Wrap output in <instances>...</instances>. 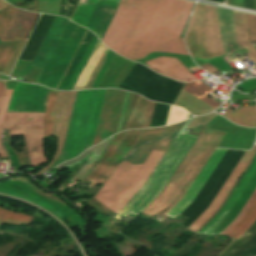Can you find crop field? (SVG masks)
I'll use <instances>...</instances> for the list:
<instances>
[{
  "label": "crop field",
  "mask_w": 256,
  "mask_h": 256,
  "mask_svg": "<svg viewBox=\"0 0 256 256\" xmlns=\"http://www.w3.org/2000/svg\"><path fill=\"white\" fill-rule=\"evenodd\" d=\"M193 4L182 0H121L102 41L138 63L160 52L188 54L179 36Z\"/></svg>",
  "instance_id": "1"
},
{
  "label": "crop field",
  "mask_w": 256,
  "mask_h": 256,
  "mask_svg": "<svg viewBox=\"0 0 256 256\" xmlns=\"http://www.w3.org/2000/svg\"><path fill=\"white\" fill-rule=\"evenodd\" d=\"M185 122L144 129L132 150L166 151ZM148 151H130L91 201L118 214L144 184L164 154Z\"/></svg>",
  "instance_id": "2"
},
{
  "label": "crop field",
  "mask_w": 256,
  "mask_h": 256,
  "mask_svg": "<svg viewBox=\"0 0 256 256\" xmlns=\"http://www.w3.org/2000/svg\"><path fill=\"white\" fill-rule=\"evenodd\" d=\"M225 135V132L206 128L165 191L143 214L153 217L172 205L164 213L167 214L183 198ZM226 152L227 150L225 149H216L184 198L167 214V216L174 218L177 214L180 215L193 202Z\"/></svg>",
  "instance_id": "3"
},
{
  "label": "crop field",
  "mask_w": 256,
  "mask_h": 256,
  "mask_svg": "<svg viewBox=\"0 0 256 256\" xmlns=\"http://www.w3.org/2000/svg\"><path fill=\"white\" fill-rule=\"evenodd\" d=\"M105 91H78L61 163L92 146Z\"/></svg>",
  "instance_id": "4"
},
{
  "label": "crop field",
  "mask_w": 256,
  "mask_h": 256,
  "mask_svg": "<svg viewBox=\"0 0 256 256\" xmlns=\"http://www.w3.org/2000/svg\"><path fill=\"white\" fill-rule=\"evenodd\" d=\"M197 138L189 134L174 139L151 176L116 218L121 220L129 213L137 215L146 208L162 191Z\"/></svg>",
  "instance_id": "5"
},
{
  "label": "crop field",
  "mask_w": 256,
  "mask_h": 256,
  "mask_svg": "<svg viewBox=\"0 0 256 256\" xmlns=\"http://www.w3.org/2000/svg\"><path fill=\"white\" fill-rule=\"evenodd\" d=\"M185 41L191 56L216 58L225 54L216 7L197 5Z\"/></svg>",
  "instance_id": "6"
},
{
  "label": "crop field",
  "mask_w": 256,
  "mask_h": 256,
  "mask_svg": "<svg viewBox=\"0 0 256 256\" xmlns=\"http://www.w3.org/2000/svg\"><path fill=\"white\" fill-rule=\"evenodd\" d=\"M256 187V157L250 164L249 168L236 185L220 211L198 232V234H202L213 222L214 220L226 209L230 208L205 234L214 235L218 234L227 223L238 213L243 204L249 198L251 193ZM256 198V189L247 200L245 205L239 211V213L228 223V225L219 233V234H227L232 227L241 219L250 205Z\"/></svg>",
  "instance_id": "7"
},
{
  "label": "crop field",
  "mask_w": 256,
  "mask_h": 256,
  "mask_svg": "<svg viewBox=\"0 0 256 256\" xmlns=\"http://www.w3.org/2000/svg\"><path fill=\"white\" fill-rule=\"evenodd\" d=\"M6 81H0V106L3 102ZM43 113H16L7 112L0 127V140L2 128H11L10 135H25L28 153L32 165L47 162L43 153ZM0 157H7V153L2 149L0 142Z\"/></svg>",
  "instance_id": "8"
},
{
  "label": "crop field",
  "mask_w": 256,
  "mask_h": 256,
  "mask_svg": "<svg viewBox=\"0 0 256 256\" xmlns=\"http://www.w3.org/2000/svg\"><path fill=\"white\" fill-rule=\"evenodd\" d=\"M86 29L68 21L37 83L56 89Z\"/></svg>",
  "instance_id": "9"
},
{
  "label": "crop field",
  "mask_w": 256,
  "mask_h": 256,
  "mask_svg": "<svg viewBox=\"0 0 256 256\" xmlns=\"http://www.w3.org/2000/svg\"><path fill=\"white\" fill-rule=\"evenodd\" d=\"M125 94H126V92L116 90V89L107 90L105 100H104V104H103V108H102L100 121H99V125H98V129H97V133H96V137H95V141H94L93 145L98 144L99 142L103 141L105 138H107V137H109V136H111V135H113L117 132L118 122H119V118H120V114H121ZM128 94L129 93L127 92L125 102H124L123 111H122V115H121V120H120V124H119V128H118V132L120 130V126H121V122H122V118H123V114H124ZM131 94L132 93L129 94V98H128V102H127V106H126V110H125L121 130H123V128H124L125 119H126V115H127V110H128Z\"/></svg>",
  "instance_id": "10"
},
{
  "label": "crop field",
  "mask_w": 256,
  "mask_h": 256,
  "mask_svg": "<svg viewBox=\"0 0 256 256\" xmlns=\"http://www.w3.org/2000/svg\"><path fill=\"white\" fill-rule=\"evenodd\" d=\"M102 1L89 0L88 4H79L71 20L88 28ZM118 3L117 1L104 0L91 22L89 29L100 39H102L108 27Z\"/></svg>",
  "instance_id": "11"
},
{
  "label": "crop field",
  "mask_w": 256,
  "mask_h": 256,
  "mask_svg": "<svg viewBox=\"0 0 256 256\" xmlns=\"http://www.w3.org/2000/svg\"><path fill=\"white\" fill-rule=\"evenodd\" d=\"M97 41L96 36L92 33L79 61L77 62L64 90H72L84 64L86 63L95 43ZM105 45L98 39L86 65L84 66L73 90H78V89H84L90 75L92 74L97 62L99 61L104 49Z\"/></svg>",
  "instance_id": "12"
},
{
  "label": "crop field",
  "mask_w": 256,
  "mask_h": 256,
  "mask_svg": "<svg viewBox=\"0 0 256 256\" xmlns=\"http://www.w3.org/2000/svg\"><path fill=\"white\" fill-rule=\"evenodd\" d=\"M35 85L16 83L7 111L44 112L48 88Z\"/></svg>",
  "instance_id": "13"
},
{
  "label": "crop field",
  "mask_w": 256,
  "mask_h": 256,
  "mask_svg": "<svg viewBox=\"0 0 256 256\" xmlns=\"http://www.w3.org/2000/svg\"><path fill=\"white\" fill-rule=\"evenodd\" d=\"M256 153V145L252 149L251 152L246 151L239 164L227 180L226 184L214 199V201L210 204V206L188 227L194 233L217 211L221 203L224 201L242 172L245 170L251 159Z\"/></svg>",
  "instance_id": "14"
},
{
  "label": "crop field",
  "mask_w": 256,
  "mask_h": 256,
  "mask_svg": "<svg viewBox=\"0 0 256 256\" xmlns=\"http://www.w3.org/2000/svg\"><path fill=\"white\" fill-rule=\"evenodd\" d=\"M146 64L152 70L178 81H186L188 79L189 81L198 80L187 71L177 58L159 57L146 62Z\"/></svg>",
  "instance_id": "15"
},
{
  "label": "crop field",
  "mask_w": 256,
  "mask_h": 256,
  "mask_svg": "<svg viewBox=\"0 0 256 256\" xmlns=\"http://www.w3.org/2000/svg\"><path fill=\"white\" fill-rule=\"evenodd\" d=\"M37 16L17 9L1 42L26 40Z\"/></svg>",
  "instance_id": "16"
},
{
  "label": "crop field",
  "mask_w": 256,
  "mask_h": 256,
  "mask_svg": "<svg viewBox=\"0 0 256 256\" xmlns=\"http://www.w3.org/2000/svg\"><path fill=\"white\" fill-rule=\"evenodd\" d=\"M154 104L134 94L126 129L149 127Z\"/></svg>",
  "instance_id": "17"
},
{
  "label": "crop field",
  "mask_w": 256,
  "mask_h": 256,
  "mask_svg": "<svg viewBox=\"0 0 256 256\" xmlns=\"http://www.w3.org/2000/svg\"><path fill=\"white\" fill-rule=\"evenodd\" d=\"M68 19L55 18L32 64L44 67ZM69 21V20H68ZM68 23V22H67Z\"/></svg>",
  "instance_id": "18"
},
{
  "label": "crop field",
  "mask_w": 256,
  "mask_h": 256,
  "mask_svg": "<svg viewBox=\"0 0 256 256\" xmlns=\"http://www.w3.org/2000/svg\"><path fill=\"white\" fill-rule=\"evenodd\" d=\"M141 131L142 129L130 131V133L128 132L129 133L128 136L125 138V140L123 141V143L121 144L117 152L114 154L112 159L109 161L107 166L104 168L101 174L96 178V180L93 183L88 185V187L90 188L92 186L94 187L96 184L103 183L105 181V179L112 173L113 169L116 167V165L114 164L117 162L119 157L120 156L125 157L126 153L130 149V147L134 144L136 138L138 137Z\"/></svg>",
  "instance_id": "19"
},
{
  "label": "crop field",
  "mask_w": 256,
  "mask_h": 256,
  "mask_svg": "<svg viewBox=\"0 0 256 256\" xmlns=\"http://www.w3.org/2000/svg\"><path fill=\"white\" fill-rule=\"evenodd\" d=\"M234 20L239 47L256 65V50L249 44L245 16L242 13L234 12Z\"/></svg>",
  "instance_id": "20"
},
{
  "label": "crop field",
  "mask_w": 256,
  "mask_h": 256,
  "mask_svg": "<svg viewBox=\"0 0 256 256\" xmlns=\"http://www.w3.org/2000/svg\"><path fill=\"white\" fill-rule=\"evenodd\" d=\"M222 116L235 124L247 127L256 126V106L242 107L241 110L233 113L230 105Z\"/></svg>",
  "instance_id": "21"
},
{
  "label": "crop field",
  "mask_w": 256,
  "mask_h": 256,
  "mask_svg": "<svg viewBox=\"0 0 256 256\" xmlns=\"http://www.w3.org/2000/svg\"><path fill=\"white\" fill-rule=\"evenodd\" d=\"M183 90L195 96L196 98L202 100L203 102L207 103L210 107L214 109L220 105V103L214 101L213 99L207 96L214 90H212L200 81L186 83Z\"/></svg>",
  "instance_id": "22"
},
{
  "label": "crop field",
  "mask_w": 256,
  "mask_h": 256,
  "mask_svg": "<svg viewBox=\"0 0 256 256\" xmlns=\"http://www.w3.org/2000/svg\"><path fill=\"white\" fill-rule=\"evenodd\" d=\"M256 219V200L243 216V218L234 226V228L227 234L238 239L255 221Z\"/></svg>",
  "instance_id": "23"
},
{
  "label": "crop field",
  "mask_w": 256,
  "mask_h": 256,
  "mask_svg": "<svg viewBox=\"0 0 256 256\" xmlns=\"http://www.w3.org/2000/svg\"><path fill=\"white\" fill-rule=\"evenodd\" d=\"M129 131L121 132L118 134L112 145L109 147L97 167L91 172V174L87 177V179L91 180L92 182L94 179L99 175V173L103 170L106 166L110 158L113 156L117 148L119 147L121 141L126 137Z\"/></svg>",
  "instance_id": "24"
},
{
  "label": "crop field",
  "mask_w": 256,
  "mask_h": 256,
  "mask_svg": "<svg viewBox=\"0 0 256 256\" xmlns=\"http://www.w3.org/2000/svg\"><path fill=\"white\" fill-rule=\"evenodd\" d=\"M114 52H112L110 49L106 47L100 61L98 62L93 74L91 75L87 85L85 88H96L112 55Z\"/></svg>",
  "instance_id": "25"
},
{
  "label": "crop field",
  "mask_w": 256,
  "mask_h": 256,
  "mask_svg": "<svg viewBox=\"0 0 256 256\" xmlns=\"http://www.w3.org/2000/svg\"><path fill=\"white\" fill-rule=\"evenodd\" d=\"M56 95V91L50 90L45 110L44 138L52 134Z\"/></svg>",
  "instance_id": "26"
},
{
  "label": "crop field",
  "mask_w": 256,
  "mask_h": 256,
  "mask_svg": "<svg viewBox=\"0 0 256 256\" xmlns=\"http://www.w3.org/2000/svg\"><path fill=\"white\" fill-rule=\"evenodd\" d=\"M16 8L10 6L5 2L1 12H0V39L2 38L7 26L9 25Z\"/></svg>",
  "instance_id": "27"
},
{
  "label": "crop field",
  "mask_w": 256,
  "mask_h": 256,
  "mask_svg": "<svg viewBox=\"0 0 256 256\" xmlns=\"http://www.w3.org/2000/svg\"><path fill=\"white\" fill-rule=\"evenodd\" d=\"M18 42L0 44V73L13 53Z\"/></svg>",
  "instance_id": "28"
},
{
  "label": "crop field",
  "mask_w": 256,
  "mask_h": 256,
  "mask_svg": "<svg viewBox=\"0 0 256 256\" xmlns=\"http://www.w3.org/2000/svg\"><path fill=\"white\" fill-rule=\"evenodd\" d=\"M32 216H28L21 213L12 212L3 208H0V220L5 222L7 219L16 220L21 222L31 223Z\"/></svg>",
  "instance_id": "29"
},
{
  "label": "crop field",
  "mask_w": 256,
  "mask_h": 256,
  "mask_svg": "<svg viewBox=\"0 0 256 256\" xmlns=\"http://www.w3.org/2000/svg\"><path fill=\"white\" fill-rule=\"evenodd\" d=\"M109 139L105 140L104 142H102L101 144L98 145L96 150L91 155L90 159L87 161L86 164L83 165V167L79 170V172L76 174V176L74 178H72L71 182H73V181H75L77 179L80 180L83 177V175L86 173V171L89 168V166L95 161V159L100 154V152L103 150V148L105 147V145L107 144Z\"/></svg>",
  "instance_id": "30"
},
{
  "label": "crop field",
  "mask_w": 256,
  "mask_h": 256,
  "mask_svg": "<svg viewBox=\"0 0 256 256\" xmlns=\"http://www.w3.org/2000/svg\"><path fill=\"white\" fill-rule=\"evenodd\" d=\"M90 35H91V32L88 31V33H87V35H86V37H85V39H84L80 49L78 50V52H77V54H76V56H75V58H74V60H73V62L71 64V66L69 68V70L67 71V73H66V75H65V77H64V79H63V81H62V83H61V85L59 87V89H61V90L63 89V87H64V85H65L69 75L71 74V72H72V70H73V68H74V66H75L79 56L81 55V53H82V51H83V49H84V47H85V45H86Z\"/></svg>",
  "instance_id": "31"
},
{
  "label": "crop field",
  "mask_w": 256,
  "mask_h": 256,
  "mask_svg": "<svg viewBox=\"0 0 256 256\" xmlns=\"http://www.w3.org/2000/svg\"><path fill=\"white\" fill-rule=\"evenodd\" d=\"M230 5L256 10V0H229Z\"/></svg>",
  "instance_id": "32"
},
{
  "label": "crop field",
  "mask_w": 256,
  "mask_h": 256,
  "mask_svg": "<svg viewBox=\"0 0 256 256\" xmlns=\"http://www.w3.org/2000/svg\"><path fill=\"white\" fill-rule=\"evenodd\" d=\"M247 16V22H248V28L250 33V39L251 41H256V16L248 15Z\"/></svg>",
  "instance_id": "33"
},
{
  "label": "crop field",
  "mask_w": 256,
  "mask_h": 256,
  "mask_svg": "<svg viewBox=\"0 0 256 256\" xmlns=\"http://www.w3.org/2000/svg\"><path fill=\"white\" fill-rule=\"evenodd\" d=\"M96 147H97V146L86 150L84 153H82L81 156H79V157H77V158H75V159H73V160H71V161L62 163V164H60L59 166H57L56 168L59 170V169L65 167V166H68V165H71V164H74V163H76V162H78V161L83 160L86 156H88L91 152H93Z\"/></svg>",
  "instance_id": "34"
},
{
  "label": "crop field",
  "mask_w": 256,
  "mask_h": 256,
  "mask_svg": "<svg viewBox=\"0 0 256 256\" xmlns=\"http://www.w3.org/2000/svg\"><path fill=\"white\" fill-rule=\"evenodd\" d=\"M12 91L13 90H6V93H5V98H4V102L2 104V107L0 109V125L2 123V120L4 118V115L6 113V110H7V107H8V103H9V100H10V97H11V94H12Z\"/></svg>",
  "instance_id": "35"
},
{
  "label": "crop field",
  "mask_w": 256,
  "mask_h": 256,
  "mask_svg": "<svg viewBox=\"0 0 256 256\" xmlns=\"http://www.w3.org/2000/svg\"><path fill=\"white\" fill-rule=\"evenodd\" d=\"M200 67H202L203 69H205L206 71H208L211 74L217 71L215 68H213L212 66H210L207 63L202 65V66H200Z\"/></svg>",
  "instance_id": "36"
}]
</instances>
